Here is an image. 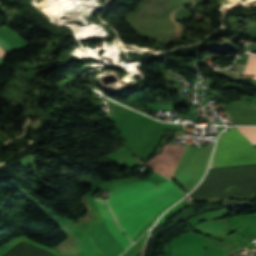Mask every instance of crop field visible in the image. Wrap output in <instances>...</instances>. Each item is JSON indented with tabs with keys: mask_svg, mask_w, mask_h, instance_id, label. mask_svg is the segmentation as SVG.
<instances>
[{
	"mask_svg": "<svg viewBox=\"0 0 256 256\" xmlns=\"http://www.w3.org/2000/svg\"><path fill=\"white\" fill-rule=\"evenodd\" d=\"M176 188L178 187L170 180L157 186L151 181L132 182L110 192L109 206L117 220ZM182 194L184 193L178 188L117 220L118 224L132 240L157 211L166 207Z\"/></svg>",
	"mask_w": 256,
	"mask_h": 256,
	"instance_id": "crop-field-1",
	"label": "crop field"
},
{
	"mask_svg": "<svg viewBox=\"0 0 256 256\" xmlns=\"http://www.w3.org/2000/svg\"><path fill=\"white\" fill-rule=\"evenodd\" d=\"M189 146L165 145L161 152L154 156L146 165L170 178ZM212 148L191 147L174 171L171 179H175L187 192L201 179L209 161Z\"/></svg>",
	"mask_w": 256,
	"mask_h": 256,
	"instance_id": "crop-field-2",
	"label": "crop field"
},
{
	"mask_svg": "<svg viewBox=\"0 0 256 256\" xmlns=\"http://www.w3.org/2000/svg\"><path fill=\"white\" fill-rule=\"evenodd\" d=\"M256 163V150L236 127L221 134L210 168Z\"/></svg>",
	"mask_w": 256,
	"mask_h": 256,
	"instance_id": "crop-field-3",
	"label": "crop field"
},
{
	"mask_svg": "<svg viewBox=\"0 0 256 256\" xmlns=\"http://www.w3.org/2000/svg\"><path fill=\"white\" fill-rule=\"evenodd\" d=\"M94 201L101 212V216L106 227L114 235V237L127 249L132 243L126 238V236L118 229L116 224L113 222L111 212L107 206L106 200L94 198Z\"/></svg>",
	"mask_w": 256,
	"mask_h": 256,
	"instance_id": "crop-field-4",
	"label": "crop field"
},
{
	"mask_svg": "<svg viewBox=\"0 0 256 256\" xmlns=\"http://www.w3.org/2000/svg\"><path fill=\"white\" fill-rule=\"evenodd\" d=\"M249 141H256V127H237Z\"/></svg>",
	"mask_w": 256,
	"mask_h": 256,
	"instance_id": "crop-field-5",
	"label": "crop field"
},
{
	"mask_svg": "<svg viewBox=\"0 0 256 256\" xmlns=\"http://www.w3.org/2000/svg\"><path fill=\"white\" fill-rule=\"evenodd\" d=\"M244 73L255 75L254 78L256 79V56H249L248 64Z\"/></svg>",
	"mask_w": 256,
	"mask_h": 256,
	"instance_id": "crop-field-6",
	"label": "crop field"
},
{
	"mask_svg": "<svg viewBox=\"0 0 256 256\" xmlns=\"http://www.w3.org/2000/svg\"><path fill=\"white\" fill-rule=\"evenodd\" d=\"M5 56V52L2 48H0V58L3 59Z\"/></svg>",
	"mask_w": 256,
	"mask_h": 256,
	"instance_id": "crop-field-7",
	"label": "crop field"
}]
</instances>
